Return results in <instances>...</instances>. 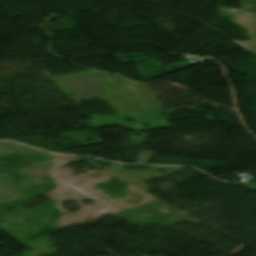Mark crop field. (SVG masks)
Here are the masks:
<instances>
[{
	"label": "crop field",
	"mask_w": 256,
	"mask_h": 256,
	"mask_svg": "<svg viewBox=\"0 0 256 256\" xmlns=\"http://www.w3.org/2000/svg\"><path fill=\"white\" fill-rule=\"evenodd\" d=\"M241 10L256 11V0H237Z\"/></svg>",
	"instance_id": "8a807250"
}]
</instances>
